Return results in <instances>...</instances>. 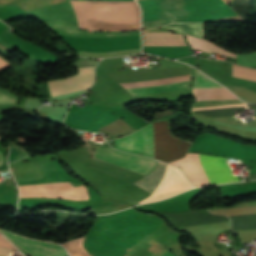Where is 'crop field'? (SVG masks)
I'll return each mask as SVG.
<instances>
[{
  "mask_svg": "<svg viewBox=\"0 0 256 256\" xmlns=\"http://www.w3.org/2000/svg\"><path fill=\"white\" fill-rule=\"evenodd\" d=\"M142 28L171 22H207L238 14L222 0H138Z\"/></svg>",
  "mask_w": 256,
  "mask_h": 256,
  "instance_id": "crop-field-1",
  "label": "crop field"
},
{
  "mask_svg": "<svg viewBox=\"0 0 256 256\" xmlns=\"http://www.w3.org/2000/svg\"><path fill=\"white\" fill-rule=\"evenodd\" d=\"M155 158L169 162L185 155L191 142L171 136L167 121L153 123ZM122 150L154 158L152 124L121 138ZM120 138L115 140V148L121 150ZM128 152V153H129Z\"/></svg>",
  "mask_w": 256,
  "mask_h": 256,
  "instance_id": "crop-field-2",
  "label": "crop field"
},
{
  "mask_svg": "<svg viewBox=\"0 0 256 256\" xmlns=\"http://www.w3.org/2000/svg\"><path fill=\"white\" fill-rule=\"evenodd\" d=\"M201 165L211 184L239 181L231 175V170L225 162V158L198 154ZM197 154H187L186 157L171 164L181 166L182 171L189 178L193 186L209 185V181L200 165Z\"/></svg>",
  "mask_w": 256,
  "mask_h": 256,
  "instance_id": "crop-field-3",
  "label": "crop field"
},
{
  "mask_svg": "<svg viewBox=\"0 0 256 256\" xmlns=\"http://www.w3.org/2000/svg\"><path fill=\"white\" fill-rule=\"evenodd\" d=\"M182 75H189V69L187 67H174V68H168V69H157V70L138 71V72L121 73V74H111V76L118 83L147 81V80H155L160 78H166L171 76H182ZM188 82L189 81L154 86V87H147V88L130 89L127 91H129L133 95L155 93V92H161V91L186 88V86L188 85Z\"/></svg>",
  "mask_w": 256,
  "mask_h": 256,
  "instance_id": "crop-field-4",
  "label": "crop field"
},
{
  "mask_svg": "<svg viewBox=\"0 0 256 256\" xmlns=\"http://www.w3.org/2000/svg\"><path fill=\"white\" fill-rule=\"evenodd\" d=\"M93 156L143 175L153 170L157 164V161L118 152L110 147L98 146Z\"/></svg>",
  "mask_w": 256,
  "mask_h": 256,
  "instance_id": "crop-field-5",
  "label": "crop field"
},
{
  "mask_svg": "<svg viewBox=\"0 0 256 256\" xmlns=\"http://www.w3.org/2000/svg\"><path fill=\"white\" fill-rule=\"evenodd\" d=\"M0 233L33 256H68L63 247L59 245L31 240L3 230H0Z\"/></svg>",
  "mask_w": 256,
  "mask_h": 256,
  "instance_id": "crop-field-6",
  "label": "crop field"
},
{
  "mask_svg": "<svg viewBox=\"0 0 256 256\" xmlns=\"http://www.w3.org/2000/svg\"><path fill=\"white\" fill-rule=\"evenodd\" d=\"M157 214L165 217L172 228L229 220L224 216H212L207 209L178 213L157 212Z\"/></svg>",
  "mask_w": 256,
  "mask_h": 256,
  "instance_id": "crop-field-7",
  "label": "crop field"
},
{
  "mask_svg": "<svg viewBox=\"0 0 256 256\" xmlns=\"http://www.w3.org/2000/svg\"><path fill=\"white\" fill-rule=\"evenodd\" d=\"M93 68H79L80 72L75 77L49 82L52 96L88 89L94 80Z\"/></svg>",
  "mask_w": 256,
  "mask_h": 256,
  "instance_id": "crop-field-8",
  "label": "crop field"
},
{
  "mask_svg": "<svg viewBox=\"0 0 256 256\" xmlns=\"http://www.w3.org/2000/svg\"><path fill=\"white\" fill-rule=\"evenodd\" d=\"M210 211L214 214H224L231 219L256 217V206L214 209ZM232 224L234 232L256 230V218L232 220Z\"/></svg>",
  "mask_w": 256,
  "mask_h": 256,
  "instance_id": "crop-field-9",
  "label": "crop field"
},
{
  "mask_svg": "<svg viewBox=\"0 0 256 256\" xmlns=\"http://www.w3.org/2000/svg\"><path fill=\"white\" fill-rule=\"evenodd\" d=\"M144 46H186L182 35L172 33H145Z\"/></svg>",
  "mask_w": 256,
  "mask_h": 256,
  "instance_id": "crop-field-10",
  "label": "crop field"
},
{
  "mask_svg": "<svg viewBox=\"0 0 256 256\" xmlns=\"http://www.w3.org/2000/svg\"><path fill=\"white\" fill-rule=\"evenodd\" d=\"M46 24H48L51 28H53L58 33H64V34L87 35V36H115V35L140 34V32H131V33H91V32H84V31L78 30L77 28H75V27H73L69 24H66V23H63V22H60V21H55V22L46 23Z\"/></svg>",
  "mask_w": 256,
  "mask_h": 256,
  "instance_id": "crop-field-11",
  "label": "crop field"
},
{
  "mask_svg": "<svg viewBox=\"0 0 256 256\" xmlns=\"http://www.w3.org/2000/svg\"><path fill=\"white\" fill-rule=\"evenodd\" d=\"M166 167V165L159 162L158 167L154 171H152L150 174L146 175L142 179L138 180L134 184L152 192L159 184Z\"/></svg>",
  "mask_w": 256,
  "mask_h": 256,
  "instance_id": "crop-field-12",
  "label": "crop field"
},
{
  "mask_svg": "<svg viewBox=\"0 0 256 256\" xmlns=\"http://www.w3.org/2000/svg\"><path fill=\"white\" fill-rule=\"evenodd\" d=\"M162 28H170L176 32L192 34L204 38L203 23H176Z\"/></svg>",
  "mask_w": 256,
  "mask_h": 256,
  "instance_id": "crop-field-13",
  "label": "crop field"
},
{
  "mask_svg": "<svg viewBox=\"0 0 256 256\" xmlns=\"http://www.w3.org/2000/svg\"><path fill=\"white\" fill-rule=\"evenodd\" d=\"M187 37L194 49L205 50V51H209V52L214 51V52L224 53V54H227V55L235 58L234 54L222 50L220 47L212 44L209 41L194 38V37H189V36H187Z\"/></svg>",
  "mask_w": 256,
  "mask_h": 256,
  "instance_id": "crop-field-14",
  "label": "crop field"
},
{
  "mask_svg": "<svg viewBox=\"0 0 256 256\" xmlns=\"http://www.w3.org/2000/svg\"><path fill=\"white\" fill-rule=\"evenodd\" d=\"M195 73H196V77L194 80L193 88L222 86V85L212 81L210 78L203 75L199 71L195 70Z\"/></svg>",
  "mask_w": 256,
  "mask_h": 256,
  "instance_id": "crop-field-15",
  "label": "crop field"
},
{
  "mask_svg": "<svg viewBox=\"0 0 256 256\" xmlns=\"http://www.w3.org/2000/svg\"><path fill=\"white\" fill-rule=\"evenodd\" d=\"M237 63L245 65H256V52L249 54H238Z\"/></svg>",
  "mask_w": 256,
  "mask_h": 256,
  "instance_id": "crop-field-16",
  "label": "crop field"
},
{
  "mask_svg": "<svg viewBox=\"0 0 256 256\" xmlns=\"http://www.w3.org/2000/svg\"><path fill=\"white\" fill-rule=\"evenodd\" d=\"M16 96L0 88V104H15Z\"/></svg>",
  "mask_w": 256,
  "mask_h": 256,
  "instance_id": "crop-field-17",
  "label": "crop field"
},
{
  "mask_svg": "<svg viewBox=\"0 0 256 256\" xmlns=\"http://www.w3.org/2000/svg\"><path fill=\"white\" fill-rule=\"evenodd\" d=\"M11 66L8 62H6L3 58L0 57V71L6 69Z\"/></svg>",
  "mask_w": 256,
  "mask_h": 256,
  "instance_id": "crop-field-18",
  "label": "crop field"
},
{
  "mask_svg": "<svg viewBox=\"0 0 256 256\" xmlns=\"http://www.w3.org/2000/svg\"><path fill=\"white\" fill-rule=\"evenodd\" d=\"M12 249L0 247V256H7Z\"/></svg>",
  "mask_w": 256,
  "mask_h": 256,
  "instance_id": "crop-field-19",
  "label": "crop field"
},
{
  "mask_svg": "<svg viewBox=\"0 0 256 256\" xmlns=\"http://www.w3.org/2000/svg\"><path fill=\"white\" fill-rule=\"evenodd\" d=\"M3 155L0 154V165H2Z\"/></svg>",
  "mask_w": 256,
  "mask_h": 256,
  "instance_id": "crop-field-20",
  "label": "crop field"
}]
</instances>
